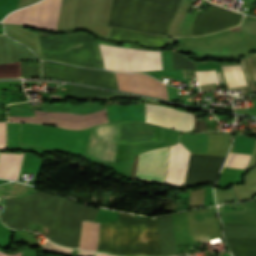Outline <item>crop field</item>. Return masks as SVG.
I'll return each mask as SVG.
<instances>
[{"mask_svg":"<svg viewBox=\"0 0 256 256\" xmlns=\"http://www.w3.org/2000/svg\"><path fill=\"white\" fill-rule=\"evenodd\" d=\"M145 105L146 122L184 131L193 128V115L188 114L189 112L187 113L161 105Z\"/></svg>","mask_w":256,"mask_h":256,"instance_id":"obj_9","label":"crop field"},{"mask_svg":"<svg viewBox=\"0 0 256 256\" xmlns=\"http://www.w3.org/2000/svg\"><path fill=\"white\" fill-rule=\"evenodd\" d=\"M155 140L154 126L138 122H120L119 143Z\"/></svg>","mask_w":256,"mask_h":256,"instance_id":"obj_13","label":"crop field"},{"mask_svg":"<svg viewBox=\"0 0 256 256\" xmlns=\"http://www.w3.org/2000/svg\"><path fill=\"white\" fill-rule=\"evenodd\" d=\"M158 228L162 256L177 254L171 215L158 217Z\"/></svg>","mask_w":256,"mask_h":256,"instance_id":"obj_14","label":"crop field"},{"mask_svg":"<svg viewBox=\"0 0 256 256\" xmlns=\"http://www.w3.org/2000/svg\"><path fill=\"white\" fill-rule=\"evenodd\" d=\"M22 75H41L40 63H21Z\"/></svg>","mask_w":256,"mask_h":256,"instance_id":"obj_24","label":"crop field"},{"mask_svg":"<svg viewBox=\"0 0 256 256\" xmlns=\"http://www.w3.org/2000/svg\"><path fill=\"white\" fill-rule=\"evenodd\" d=\"M168 150L169 146L140 154L135 178L163 183L167 166Z\"/></svg>","mask_w":256,"mask_h":256,"instance_id":"obj_10","label":"crop field"},{"mask_svg":"<svg viewBox=\"0 0 256 256\" xmlns=\"http://www.w3.org/2000/svg\"><path fill=\"white\" fill-rule=\"evenodd\" d=\"M42 59L104 68L97 41L85 34L70 36L39 35Z\"/></svg>","mask_w":256,"mask_h":256,"instance_id":"obj_3","label":"crop field"},{"mask_svg":"<svg viewBox=\"0 0 256 256\" xmlns=\"http://www.w3.org/2000/svg\"><path fill=\"white\" fill-rule=\"evenodd\" d=\"M119 122L93 127L86 155L102 161H115L118 146Z\"/></svg>","mask_w":256,"mask_h":256,"instance_id":"obj_8","label":"crop field"},{"mask_svg":"<svg viewBox=\"0 0 256 256\" xmlns=\"http://www.w3.org/2000/svg\"><path fill=\"white\" fill-rule=\"evenodd\" d=\"M55 97H60V96H55Z\"/></svg>","mask_w":256,"mask_h":256,"instance_id":"obj_30","label":"crop field"},{"mask_svg":"<svg viewBox=\"0 0 256 256\" xmlns=\"http://www.w3.org/2000/svg\"><path fill=\"white\" fill-rule=\"evenodd\" d=\"M189 155L190 152L180 142L171 146L165 182L183 185Z\"/></svg>","mask_w":256,"mask_h":256,"instance_id":"obj_12","label":"crop field"},{"mask_svg":"<svg viewBox=\"0 0 256 256\" xmlns=\"http://www.w3.org/2000/svg\"><path fill=\"white\" fill-rule=\"evenodd\" d=\"M19 123H7V148H19Z\"/></svg>","mask_w":256,"mask_h":256,"instance_id":"obj_22","label":"crop field"},{"mask_svg":"<svg viewBox=\"0 0 256 256\" xmlns=\"http://www.w3.org/2000/svg\"><path fill=\"white\" fill-rule=\"evenodd\" d=\"M99 235V223L83 221L79 249L96 251Z\"/></svg>","mask_w":256,"mask_h":256,"instance_id":"obj_16","label":"crop field"},{"mask_svg":"<svg viewBox=\"0 0 256 256\" xmlns=\"http://www.w3.org/2000/svg\"><path fill=\"white\" fill-rule=\"evenodd\" d=\"M0 256H9V255H5V254H3V253L0 252ZM13 256H21V252L15 254V255H13Z\"/></svg>","mask_w":256,"mask_h":256,"instance_id":"obj_26","label":"crop field"},{"mask_svg":"<svg viewBox=\"0 0 256 256\" xmlns=\"http://www.w3.org/2000/svg\"><path fill=\"white\" fill-rule=\"evenodd\" d=\"M223 225L225 237L256 238V226L232 224Z\"/></svg>","mask_w":256,"mask_h":256,"instance_id":"obj_19","label":"crop field"},{"mask_svg":"<svg viewBox=\"0 0 256 256\" xmlns=\"http://www.w3.org/2000/svg\"><path fill=\"white\" fill-rule=\"evenodd\" d=\"M254 202H255V206H256V200H254Z\"/></svg>","mask_w":256,"mask_h":256,"instance_id":"obj_29","label":"crop field"},{"mask_svg":"<svg viewBox=\"0 0 256 256\" xmlns=\"http://www.w3.org/2000/svg\"><path fill=\"white\" fill-rule=\"evenodd\" d=\"M234 256H256V239L225 238Z\"/></svg>","mask_w":256,"mask_h":256,"instance_id":"obj_17","label":"crop field"},{"mask_svg":"<svg viewBox=\"0 0 256 256\" xmlns=\"http://www.w3.org/2000/svg\"><path fill=\"white\" fill-rule=\"evenodd\" d=\"M251 155L230 152L224 166L246 169Z\"/></svg>","mask_w":256,"mask_h":256,"instance_id":"obj_21","label":"crop field"},{"mask_svg":"<svg viewBox=\"0 0 256 256\" xmlns=\"http://www.w3.org/2000/svg\"><path fill=\"white\" fill-rule=\"evenodd\" d=\"M43 229H44V233H47V232H48V228L43 227ZM45 235H46V237H47V234H45Z\"/></svg>","mask_w":256,"mask_h":256,"instance_id":"obj_27","label":"crop field"},{"mask_svg":"<svg viewBox=\"0 0 256 256\" xmlns=\"http://www.w3.org/2000/svg\"><path fill=\"white\" fill-rule=\"evenodd\" d=\"M228 89L247 86L241 66H221Z\"/></svg>","mask_w":256,"mask_h":256,"instance_id":"obj_18","label":"crop field"},{"mask_svg":"<svg viewBox=\"0 0 256 256\" xmlns=\"http://www.w3.org/2000/svg\"><path fill=\"white\" fill-rule=\"evenodd\" d=\"M97 251L161 256L156 218L136 220V216L119 213L118 221L100 223Z\"/></svg>","mask_w":256,"mask_h":256,"instance_id":"obj_2","label":"crop field"},{"mask_svg":"<svg viewBox=\"0 0 256 256\" xmlns=\"http://www.w3.org/2000/svg\"><path fill=\"white\" fill-rule=\"evenodd\" d=\"M60 0H42L8 15L4 23L26 24L37 28L55 29Z\"/></svg>","mask_w":256,"mask_h":256,"instance_id":"obj_7","label":"crop field"},{"mask_svg":"<svg viewBox=\"0 0 256 256\" xmlns=\"http://www.w3.org/2000/svg\"><path fill=\"white\" fill-rule=\"evenodd\" d=\"M104 67L107 70L141 72L162 70L161 54L156 51L118 48L100 45Z\"/></svg>","mask_w":256,"mask_h":256,"instance_id":"obj_5","label":"crop field"},{"mask_svg":"<svg viewBox=\"0 0 256 256\" xmlns=\"http://www.w3.org/2000/svg\"><path fill=\"white\" fill-rule=\"evenodd\" d=\"M69 95L90 98L94 96H113L114 94L69 84L67 93Z\"/></svg>","mask_w":256,"mask_h":256,"instance_id":"obj_20","label":"crop field"},{"mask_svg":"<svg viewBox=\"0 0 256 256\" xmlns=\"http://www.w3.org/2000/svg\"><path fill=\"white\" fill-rule=\"evenodd\" d=\"M24 153H1L0 177L18 179Z\"/></svg>","mask_w":256,"mask_h":256,"instance_id":"obj_15","label":"crop field"},{"mask_svg":"<svg viewBox=\"0 0 256 256\" xmlns=\"http://www.w3.org/2000/svg\"><path fill=\"white\" fill-rule=\"evenodd\" d=\"M78 255H82V256H95V253H91V252H85V251H80Z\"/></svg>","mask_w":256,"mask_h":256,"instance_id":"obj_25","label":"crop field"},{"mask_svg":"<svg viewBox=\"0 0 256 256\" xmlns=\"http://www.w3.org/2000/svg\"><path fill=\"white\" fill-rule=\"evenodd\" d=\"M115 74L119 90L168 100L165 85L145 74Z\"/></svg>","mask_w":256,"mask_h":256,"instance_id":"obj_11","label":"crop field"},{"mask_svg":"<svg viewBox=\"0 0 256 256\" xmlns=\"http://www.w3.org/2000/svg\"><path fill=\"white\" fill-rule=\"evenodd\" d=\"M98 210L44 193L7 200L4 221L14 229L27 228L29 222L49 227L48 238L61 246H79L82 220L94 221Z\"/></svg>","mask_w":256,"mask_h":256,"instance_id":"obj_1","label":"crop field"},{"mask_svg":"<svg viewBox=\"0 0 256 256\" xmlns=\"http://www.w3.org/2000/svg\"><path fill=\"white\" fill-rule=\"evenodd\" d=\"M99 256H109V255H106V254H99Z\"/></svg>","mask_w":256,"mask_h":256,"instance_id":"obj_28","label":"crop field"},{"mask_svg":"<svg viewBox=\"0 0 256 256\" xmlns=\"http://www.w3.org/2000/svg\"><path fill=\"white\" fill-rule=\"evenodd\" d=\"M43 77L77 81L93 86L118 90L115 75L111 72L78 68L60 63L43 61Z\"/></svg>","mask_w":256,"mask_h":256,"instance_id":"obj_6","label":"crop field"},{"mask_svg":"<svg viewBox=\"0 0 256 256\" xmlns=\"http://www.w3.org/2000/svg\"><path fill=\"white\" fill-rule=\"evenodd\" d=\"M197 79L200 85L219 82L215 70L211 71H196Z\"/></svg>","mask_w":256,"mask_h":256,"instance_id":"obj_23","label":"crop field"},{"mask_svg":"<svg viewBox=\"0 0 256 256\" xmlns=\"http://www.w3.org/2000/svg\"><path fill=\"white\" fill-rule=\"evenodd\" d=\"M90 132L21 124V142L84 154Z\"/></svg>","mask_w":256,"mask_h":256,"instance_id":"obj_4","label":"crop field"}]
</instances>
